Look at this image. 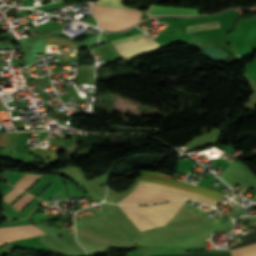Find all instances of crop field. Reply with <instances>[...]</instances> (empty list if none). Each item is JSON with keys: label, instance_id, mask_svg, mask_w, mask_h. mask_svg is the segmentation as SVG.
<instances>
[{"label": "crop field", "instance_id": "obj_1", "mask_svg": "<svg viewBox=\"0 0 256 256\" xmlns=\"http://www.w3.org/2000/svg\"><path fill=\"white\" fill-rule=\"evenodd\" d=\"M140 180L153 183L166 184L175 188L187 190L190 192L205 195L218 201L223 194L208 188L192 185L187 182L171 179V176L150 171H140ZM149 182L139 181L137 187L129 193L118 204H153L162 201H167L175 198H192L209 206H214L217 202L205 196L178 190L166 185L153 184Z\"/></svg>", "mask_w": 256, "mask_h": 256}, {"label": "crop field", "instance_id": "obj_2", "mask_svg": "<svg viewBox=\"0 0 256 256\" xmlns=\"http://www.w3.org/2000/svg\"><path fill=\"white\" fill-rule=\"evenodd\" d=\"M186 200H177L150 206H119L125 215L140 230H147L165 223L174 217Z\"/></svg>", "mask_w": 256, "mask_h": 256}, {"label": "crop field", "instance_id": "obj_3", "mask_svg": "<svg viewBox=\"0 0 256 256\" xmlns=\"http://www.w3.org/2000/svg\"><path fill=\"white\" fill-rule=\"evenodd\" d=\"M122 2L123 0H96L91 6L90 10L101 28L120 30L139 21L142 12L126 7Z\"/></svg>", "mask_w": 256, "mask_h": 256}, {"label": "crop field", "instance_id": "obj_4", "mask_svg": "<svg viewBox=\"0 0 256 256\" xmlns=\"http://www.w3.org/2000/svg\"><path fill=\"white\" fill-rule=\"evenodd\" d=\"M144 36H146L144 33L137 34V35L126 37V38L113 40V41H111V43L113 45H115V44L131 41V40L143 38ZM158 47H161V46L158 45L156 42L150 40L149 38H147V39L144 38V39H140V40H136V41H132V42H128V43H124V44L115 46L116 50L122 55V57L125 60L135 57L141 53L151 51Z\"/></svg>", "mask_w": 256, "mask_h": 256}, {"label": "crop field", "instance_id": "obj_5", "mask_svg": "<svg viewBox=\"0 0 256 256\" xmlns=\"http://www.w3.org/2000/svg\"><path fill=\"white\" fill-rule=\"evenodd\" d=\"M40 235L32 225L0 228V246L12 240Z\"/></svg>", "mask_w": 256, "mask_h": 256}, {"label": "crop field", "instance_id": "obj_6", "mask_svg": "<svg viewBox=\"0 0 256 256\" xmlns=\"http://www.w3.org/2000/svg\"><path fill=\"white\" fill-rule=\"evenodd\" d=\"M148 15H161V14H173V15H197V8H182L174 6H162V5H153L147 11Z\"/></svg>", "mask_w": 256, "mask_h": 256}, {"label": "crop field", "instance_id": "obj_7", "mask_svg": "<svg viewBox=\"0 0 256 256\" xmlns=\"http://www.w3.org/2000/svg\"><path fill=\"white\" fill-rule=\"evenodd\" d=\"M6 175L15 187L21 180H23L28 174L27 173H16V172H6ZM31 174H29L23 181H21L16 188H18ZM40 175L32 174L20 187L19 189L25 191L31 184H33Z\"/></svg>", "mask_w": 256, "mask_h": 256}, {"label": "crop field", "instance_id": "obj_8", "mask_svg": "<svg viewBox=\"0 0 256 256\" xmlns=\"http://www.w3.org/2000/svg\"><path fill=\"white\" fill-rule=\"evenodd\" d=\"M18 190H16V189H14V188H9V189H7L5 192H4V201L5 200H7L9 197H11L13 194H15L16 192H17ZM23 192L22 191H19V192H17L15 195H13L11 198H9L7 201H5L6 203H8V204H10L11 202H13L17 197H19L21 194H22ZM26 194V193H25ZM25 194H23L22 196H24ZM34 197H32V196H30V195H28V194H26L24 197H22L20 200L19 199H17L16 201H15V203L16 204H12L13 205V207H15V208H17V209H19V210H21L23 207H25L26 205H27V203H29L32 199H33ZM11 205V206H12Z\"/></svg>", "mask_w": 256, "mask_h": 256}, {"label": "crop field", "instance_id": "obj_9", "mask_svg": "<svg viewBox=\"0 0 256 256\" xmlns=\"http://www.w3.org/2000/svg\"><path fill=\"white\" fill-rule=\"evenodd\" d=\"M234 256H256V244L231 251Z\"/></svg>", "mask_w": 256, "mask_h": 256}, {"label": "crop field", "instance_id": "obj_10", "mask_svg": "<svg viewBox=\"0 0 256 256\" xmlns=\"http://www.w3.org/2000/svg\"><path fill=\"white\" fill-rule=\"evenodd\" d=\"M217 27H220L218 21L200 24V25L189 26V27H187V32L210 29V28H217Z\"/></svg>", "mask_w": 256, "mask_h": 256}, {"label": "crop field", "instance_id": "obj_11", "mask_svg": "<svg viewBox=\"0 0 256 256\" xmlns=\"http://www.w3.org/2000/svg\"><path fill=\"white\" fill-rule=\"evenodd\" d=\"M28 224L27 220H23V221H11L5 224L0 225V227H4V226H15V225H25Z\"/></svg>", "mask_w": 256, "mask_h": 256}, {"label": "crop field", "instance_id": "obj_12", "mask_svg": "<svg viewBox=\"0 0 256 256\" xmlns=\"http://www.w3.org/2000/svg\"><path fill=\"white\" fill-rule=\"evenodd\" d=\"M50 186H51V185H50ZM50 186H49V187H50ZM49 187H48V188H49ZM48 188H47V189H48ZM47 189H46V190H47ZM46 190H45V191H46ZM45 191H44V192H45ZM42 193H43V192H42ZM42 193H41V194H42ZM41 194H40V195H41Z\"/></svg>", "mask_w": 256, "mask_h": 256}, {"label": "crop field", "instance_id": "obj_13", "mask_svg": "<svg viewBox=\"0 0 256 256\" xmlns=\"http://www.w3.org/2000/svg\"><path fill=\"white\" fill-rule=\"evenodd\" d=\"M218 219L214 220V221H217Z\"/></svg>", "mask_w": 256, "mask_h": 256}]
</instances>
